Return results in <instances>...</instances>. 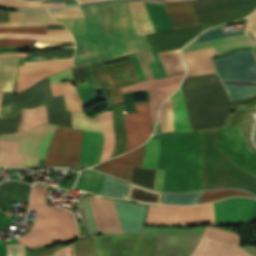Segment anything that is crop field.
Segmentation results:
<instances>
[{"label":"crop field","instance_id":"31","mask_svg":"<svg viewBox=\"0 0 256 256\" xmlns=\"http://www.w3.org/2000/svg\"><path fill=\"white\" fill-rule=\"evenodd\" d=\"M158 57L164 66L167 76L186 71L179 49L158 53Z\"/></svg>","mask_w":256,"mask_h":256},{"label":"crop field","instance_id":"35","mask_svg":"<svg viewBox=\"0 0 256 256\" xmlns=\"http://www.w3.org/2000/svg\"><path fill=\"white\" fill-rule=\"evenodd\" d=\"M3 38H20V39H34V41H48V42H65L71 41L72 36L67 35H40L28 33H0V39Z\"/></svg>","mask_w":256,"mask_h":256},{"label":"crop field","instance_id":"29","mask_svg":"<svg viewBox=\"0 0 256 256\" xmlns=\"http://www.w3.org/2000/svg\"><path fill=\"white\" fill-rule=\"evenodd\" d=\"M100 126L104 133V145L101 153V161L109 159L115 145V135L112 128V111L100 112Z\"/></svg>","mask_w":256,"mask_h":256},{"label":"crop field","instance_id":"38","mask_svg":"<svg viewBox=\"0 0 256 256\" xmlns=\"http://www.w3.org/2000/svg\"><path fill=\"white\" fill-rule=\"evenodd\" d=\"M231 196L255 197L249 193H245L237 190H215L210 192H204L198 204L212 202L218 199L231 197Z\"/></svg>","mask_w":256,"mask_h":256},{"label":"crop field","instance_id":"60","mask_svg":"<svg viewBox=\"0 0 256 256\" xmlns=\"http://www.w3.org/2000/svg\"><path fill=\"white\" fill-rule=\"evenodd\" d=\"M69 75H71V69L67 70V71H64V72H61V73H58L56 75H53V76L50 77L51 83L54 82V81H57V80H59L61 78H64L66 76H69ZM71 78H72V75L69 76V77H66L64 79H61V80H59L57 82L65 81V80H68V79H71ZM57 82H54V83H57Z\"/></svg>","mask_w":256,"mask_h":256},{"label":"crop field","instance_id":"59","mask_svg":"<svg viewBox=\"0 0 256 256\" xmlns=\"http://www.w3.org/2000/svg\"><path fill=\"white\" fill-rule=\"evenodd\" d=\"M148 94H149L150 105H151V110H152V125H154L157 120V112H156L157 103H156V98H155L154 92H151Z\"/></svg>","mask_w":256,"mask_h":256},{"label":"crop field","instance_id":"54","mask_svg":"<svg viewBox=\"0 0 256 256\" xmlns=\"http://www.w3.org/2000/svg\"><path fill=\"white\" fill-rule=\"evenodd\" d=\"M74 53V48L69 49H58V50H48V51H36L37 55H50L56 58L71 57Z\"/></svg>","mask_w":256,"mask_h":256},{"label":"crop field","instance_id":"69","mask_svg":"<svg viewBox=\"0 0 256 256\" xmlns=\"http://www.w3.org/2000/svg\"><path fill=\"white\" fill-rule=\"evenodd\" d=\"M27 54H9V55H0V58H5V57H26Z\"/></svg>","mask_w":256,"mask_h":256},{"label":"crop field","instance_id":"10","mask_svg":"<svg viewBox=\"0 0 256 256\" xmlns=\"http://www.w3.org/2000/svg\"><path fill=\"white\" fill-rule=\"evenodd\" d=\"M184 74L185 73L175 75L169 78H161L157 80L144 81L132 86L123 87L121 88V90L122 92L140 91V90L155 91L158 107H159L160 104L178 88L179 84L183 79ZM112 109H113V127L116 135V145L112 153L113 155L125 149L126 134L124 130L123 107H117Z\"/></svg>","mask_w":256,"mask_h":256},{"label":"crop field","instance_id":"43","mask_svg":"<svg viewBox=\"0 0 256 256\" xmlns=\"http://www.w3.org/2000/svg\"><path fill=\"white\" fill-rule=\"evenodd\" d=\"M0 5L27 8H45L66 5L65 3H41V0H0Z\"/></svg>","mask_w":256,"mask_h":256},{"label":"crop field","instance_id":"36","mask_svg":"<svg viewBox=\"0 0 256 256\" xmlns=\"http://www.w3.org/2000/svg\"><path fill=\"white\" fill-rule=\"evenodd\" d=\"M41 124H47L45 105L35 109H27L23 131Z\"/></svg>","mask_w":256,"mask_h":256},{"label":"crop field","instance_id":"1","mask_svg":"<svg viewBox=\"0 0 256 256\" xmlns=\"http://www.w3.org/2000/svg\"><path fill=\"white\" fill-rule=\"evenodd\" d=\"M212 46L217 54L235 47L256 51L245 29L229 32L226 26L198 36L183 52ZM256 58V52L252 53ZM250 51L236 52L215 60V69L231 100L256 95V59ZM217 74L186 78L182 93L193 131L223 126L235 103L231 102Z\"/></svg>","mask_w":256,"mask_h":256},{"label":"crop field","instance_id":"11","mask_svg":"<svg viewBox=\"0 0 256 256\" xmlns=\"http://www.w3.org/2000/svg\"><path fill=\"white\" fill-rule=\"evenodd\" d=\"M72 66V61L25 66L17 80L16 94L32 87L37 80ZM15 80L12 59L0 60V91H11Z\"/></svg>","mask_w":256,"mask_h":256},{"label":"crop field","instance_id":"61","mask_svg":"<svg viewBox=\"0 0 256 256\" xmlns=\"http://www.w3.org/2000/svg\"><path fill=\"white\" fill-rule=\"evenodd\" d=\"M164 172H165V170H157V173H156V184H155V189L156 190H160L161 191V189H162Z\"/></svg>","mask_w":256,"mask_h":256},{"label":"crop field","instance_id":"16","mask_svg":"<svg viewBox=\"0 0 256 256\" xmlns=\"http://www.w3.org/2000/svg\"><path fill=\"white\" fill-rule=\"evenodd\" d=\"M49 125L38 126L26 132L1 136L0 139L21 143L16 153L22 154L20 166L38 165Z\"/></svg>","mask_w":256,"mask_h":256},{"label":"crop field","instance_id":"63","mask_svg":"<svg viewBox=\"0 0 256 256\" xmlns=\"http://www.w3.org/2000/svg\"><path fill=\"white\" fill-rule=\"evenodd\" d=\"M72 246H73V244L63 248L64 256H73ZM63 253H62V249H60V250L54 252V256H63Z\"/></svg>","mask_w":256,"mask_h":256},{"label":"crop field","instance_id":"37","mask_svg":"<svg viewBox=\"0 0 256 256\" xmlns=\"http://www.w3.org/2000/svg\"><path fill=\"white\" fill-rule=\"evenodd\" d=\"M159 146V140H149L146 142L142 168L156 169L159 156Z\"/></svg>","mask_w":256,"mask_h":256},{"label":"crop field","instance_id":"7","mask_svg":"<svg viewBox=\"0 0 256 256\" xmlns=\"http://www.w3.org/2000/svg\"><path fill=\"white\" fill-rule=\"evenodd\" d=\"M187 4L195 24L207 28L246 17L256 8V0H198Z\"/></svg>","mask_w":256,"mask_h":256},{"label":"crop field","instance_id":"46","mask_svg":"<svg viewBox=\"0 0 256 256\" xmlns=\"http://www.w3.org/2000/svg\"><path fill=\"white\" fill-rule=\"evenodd\" d=\"M155 171L156 170L135 168V174H134L132 182H135L137 184H140V185H143V186L153 189L154 179H155Z\"/></svg>","mask_w":256,"mask_h":256},{"label":"crop field","instance_id":"17","mask_svg":"<svg viewBox=\"0 0 256 256\" xmlns=\"http://www.w3.org/2000/svg\"><path fill=\"white\" fill-rule=\"evenodd\" d=\"M135 105L137 113L124 112L127 134L125 152L144 143L150 137L152 131L149 102L135 103Z\"/></svg>","mask_w":256,"mask_h":256},{"label":"crop field","instance_id":"26","mask_svg":"<svg viewBox=\"0 0 256 256\" xmlns=\"http://www.w3.org/2000/svg\"><path fill=\"white\" fill-rule=\"evenodd\" d=\"M182 55L189 68L187 77L216 73L211 57L216 56L217 54L212 47L184 53Z\"/></svg>","mask_w":256,"mask_h":256},{"label":"crop field","instance_id":"50","mask_svg":"<svg viewBox=\"0 0 256 256\" xmlns=\"http://www.w3.org/2000/svg\"><path fill=\"white\" fill-rule=\"evenodd\" d=\"M136 57L139 60L140 66L146 76V79L147 80L155 79L148 64H147V63L155 60L151 50L144 52V53H138V54H136Z\"/></svg>","mask_w":256,"mask_h":256},{"label":"crop field","instance_id":"9","mask_svg":"<svg viewBox=\"0 0 256 256\" xmlns=\"http://www.w3.org/2000/svg\"><path fill=\"white\" fill-rule=\"evenodd\" d=\"M201 223H215L213 203L188 207L150 205L146 225Z\"/></svg>","mask_w":256,"mask_h":256},{"label":"crop field","instance_id":"15","mask_svg":"<svg viewBox=\"0 0 256 256\" xmlns=\"http://www.w3.org/2000/svg\"><path fill=\"white\" fill-rule=\"evenodd\" d=\"M215 147L233 163L256 177V153L248 148L241 129H215Z\"/></svg>","mask_w":256,"mask_h":256},{"label":"crop field","instance_id":"12","mask_svg":"<svg viewBox=\"0 0 256 256\" xmlns=\"http://www.w3.org/2000/svg\"><path fill=\"white\" fill-rule=\"evenodd\" d=\"M84 131L55 125L43 165H78Z\"/></svg>","mask_w":256,"mask_h":256},{"label":"crop field","instance_id":"51","mask_svg":"<svg viewBox=\"0 0 256 256\" xmlns=\"http://www.w3.org/2000/svg\"><path fill=\"white\" fill-rule=\"evenodd\" d=\"M95 87L110 88L100 63L90 64Z\"/></svg>","mask_w":256,"mask_h":256},{"label":"crop field","instance_id":"74","mask_svg":"<svg viewBox=\"0 0 256 256\" xmlns=\"http://www.w3.org/2000/svg\"><path fill=\"white\" fill-rule=\"evenodd\" d=\"M8 53H23V52H16V51H1L0 54H8Z\"/></svg>","mask_w":256,"mask_h":256},{"label":"crop field","instance_id":"30","mask_svg":"<svg viewBox=\"0 0 256 256\" xmlns=\"http://www.w3.org/2000/svg\"><path fill=\"white\" fill-rule=\"evenodd\" d=\"M173 113H174V129L175 131H192L189 124L181 90L171 96Z\"/></svg>","mask_w":256,"mask_h":256},{"label":"crop field","instance_id":"3","mask_svg":"<svg viewBox=\"0 0 256 256\" xmlns=\"http://www.w3.org/2000/svg\"><path fill=\"white\" fill-rule=\"evenodd\" d=\"M87 34H73L76 45L74 66L111 59L103 35H113L114 15L110 2L81 5Z\"/></svg>","mask_w":256,"mask_h":256},{"label":"crop field","instance_id":"20","mask_svg":"<svg viewBox=\"0 0 256 256\" xmlns=\"http://www.w3.org/2000/svg\"><path fill=\"white\" fill-rule=\"evenodd\" d=\"M216 224H243L256 208V200L246 198L225 199L214 203Z\"/></svg>","mask_w":256,"mask_h":256},{"label":"crop field","instance_id":"44","mask_svg":"<svg viewBox=\"0 0 256 256\" xmlns=\"http://www.w3.org/2000/svg\"><path fill=\"white\" fill-rule=\"evenodd\" d=\"M16 101L13 93H3L0 118H16Z\"/></svg>","mask_w":256,"mask_h":256},{"label":"crop field","instance_id":"34","mask_svg":"<svg viewBox=\"0 0 256 256\" xmlns=\"http://www.w3.org/2000/svg\"><path fill=\"white\" fill-rule=\"evenodd\" d=\"M19 144L0 141V165L19 166L21 155L15 154Z\"/></svg>","mask_w":256,"mask_h":256},{"label":"crop field","instance_id":"33","mask_svg":"<svg viewBox=\"0 0 256 256\" xmlns=\"http://www.w3.org/2000/svg\"><path fill=\"white\" fill-rule=\"evenodd\" d=\"M104 174L86 170L81 172L78 182L74 188L88 190L95 193H99Z\"/></svg>","mask_w":256,"mask_h":256},{"label":"crop field","instance_id":"66","mask_svg":"<svg viewBox=\"0 0 256 256\" xmlns=\"http://www.w3.org/2000/svg\"><path fill=\"white\" fill-rule=\"evenodd\" d=\"M8 12L9 11L0 10V22H9Z\"/></svg>","mask_w":256,"mask_h":256},{"label":"crop field","instance_id":"57","mask_svg":"<svg viewBox=\"0 0 256 256\" xmlns=\"http://www.w3.org/2000/svg\"><path fill=\"white\" fill-rule=\"evenodd\" d=\"M33 40H13L3 39L0 40V46H31Z\"/></svg>","mask_w":256,"mask_h":256},{"label":"crop field","instance_id":"22","mask_svg":"<svg viewBox=\"0 0 256 256\" xmlns=\"http://www.w3.org/2000/svg\"><path fill=\"white\" fill-rule=\"evenodd\" d=\"M123 233H143L147 205L114 200Z\"/></svg>","mask_w":256,"mask_h":256},{"label":"crop field","instance_id":"18","mask_svg":"<svg viewBox=\"0 0 256 256\" xmlns=\"http://www.w3.org/2000/svg\"><path fill=\"white\" fill-rule=\"evenodd\" d=\"M201 236L183 233L155 235L153 256H190Z\"/></svg>","mask_w":256,"mask_h":256},{"label":"crop field","instance_id":"23","mask_svg":"<svg viewBox=\"0 0 256 256\" xmlns=\"http://www.w3.org/2000/svg\"><path fill=\"white\" fill-rule=\"evenodd\" d=\"M144 147L145 144L118 158L111 159L107 173L131 182L134 167L141 168Z\"/></svg>","mask_w":256,"mask_h":256},{"label":"crop field","instance_id":"41","mask_svg":"<svg viewBox=\"0 0 256 256\" xmlns=\"http://www.w3.org/2000/svg\"><path fill=\"white\" fill-rule=\"evenodd\" d=\"M74 123L77 129L101 132L97 113L94 118L90 119L83 112H74Z\"/></svg>","mask_w":256,"mask_h":256},{"label":"crop field","instance_id":"47","mask_svg":"<svg viewBox=\"0 0 256 256\" xmlns=\"http://www.w3.org/2000/svg\"><path fill=\"white\" fill-rule=\"evenodd\" d=\"M203 235H207L209 237H213V238L220 239L223 241L239 244L237 234L228 232V231H224L221 229L207 227Z\"/></svg>","mask_w":256,"mask_h":256},{"label":"crop field","instance_id":"5","mask_svg":"<svg viewBox=\"0 0 256 256\" xmlns=\"http://www.w3.org/2000/svg\"><path fill=\"white\" fill-rule=\"evenodd\" d=\"M128 3L136 35L195 25L193 17L185 2L166 3L175 28L165 4H157L158 2L146 3L156 31L145 1H128Z\"/></svg>","mask_w":256,"mask_h":256},{"label":"crop field","instance_id":"42","mask_svg":"<svg viewBox=\"0 0 256 256\" xmlns=\"http://www.w3.org/2000/svg\"><path fill=\"white\" fill-rule=\"evenodd\" d=\"M201 194H163L161 203L163 204H196Z\"/></svg>","mask_w":256,"mask_h":256},{"label":"crop field","instance_id":"24","mask_svg":"<svg viewBox=\"0 0 256 256\" xmlns=\"http://www.w3.org/2000/svg\"><path fill=\"white\" fill-rule=\"evenodd\" d=\"M104 72L112 87L115 104L123 102L120 87L141 82L131 62L119 67L106 68Z\"/></svg>","mask_w":256,"mask_h":256},{"label":"crop field","instance_id":"67","mask_svg":"<svg viewBox=\"0 0 256 256\" xmlns=\"http://www.w3.org/2000/svg\"><path fill=\"white\" fill-rule=\"evenodd\" d=\"M67 60H72V59H66V60H47V61H30V62H26L25 65L38 64V63H46V62H56V61H67Z\"/></svg>","mask_w":256,"mask_h":256},{"label":"crop field","instance_id":"13","mask_svg":"<svg viewBox=\"0 0 256 256\" xmlns=\"http://www.w3.org/2000/svg\"><path fill=\"white\" fill-rule=\"evenodd\" d=\"M95 240L99 256H152L153 235L107 234Z\"/></svg>","mask_w":256,"mask_h":256},{"label":"crop field","instance_id":"70","mask_svg":"<svg viewBox=\"0 0 256 256\" xmlns=\"http://www.w3.org/2000/svg\"><path fill=\"white\" fill-rule=\"evenodd\" d=\"M108 161H109V160H108ZM108 161L99 164L98 169L103 170V171L106 172V170H107V165H108Z\"/></svg>","mask_w":256,"mask_h":256},{"label":"crop field","instance_id":"71","mask_svg":"<svg viewBox=\"0 0 256 256\" xmlns=\"http://www.w3.org/2000/svg\"><path fill=\"white\" fill-rule=\"evenodd\" d=\"M42 2H76L75 0H42Z\"/></svg>","mask_w":256,"mask_h":256},{"label":"crop field","instance_id":"49","mask_svg":"<svg viewBox=\"0 0 256 256\" xmlns=\"http://www.w3.org/2000/svg\"><path fill=\"white\" fill-rule=\"evenodd\" d=\"M65 105L68 110L72 111V123H73V111H84V107L79 99L76 89L65 94Z\"/></svg>","mask_w":256,"mask_h":256},{"label":"crop field","instance_id":"72","mask_svg":"<svg viewBox=\"0 0 256 256\" xmlns=\"http://www.w3.org/2000/svg\"><path fill=\"white\" fill-rule=\"evenodd\" d=\"M47 29H66L63 25H48Z\"/></svg>","mask_w":256,"mask_h":256},{"label":"crop field","instance_id":"55","mask_svg":"<svg viewBox=\"0 0 256 256\" xmlns=\"http://www.w3.org/2000/svg\"><path fill=\"white\" fill-rule=\"evenodd\" d=\"M73 80L77 85H84L88 83L86 66L73 68Z\"/></svg>","mask_w":256,"mask_h":256},{"label":"crop field","instance_id":"68","mask_svg":"<svg viewBox=\"0 0 256 256\" xmlns=\"http://www.w3.org/2000/svg\"><path fill=\"white\" fill-rule=\"evenodd\" d=\"M68 33L67 30H47L46 34H61Z\"/></svg>","mask_w":256,"mask_h":256},{"label":"crop field","instance_id":"56","mask_svg":"<svg viewBox=\"0 0 256 256\" xmlns=\"http://www.w3.org/2000/svg\"><path fill=\"white\" fill-rule=\"evenodd\" d=\"M7 256H25L24 244L7 245Z\"/></svg>","mask_w":256,"mask_h":256},{"label":"crop field","instance_id":"52","mask_svg":"<svg viewBox=\"0 0 256 256\" xmlns=\"http://www.w3.org/2000/svg\"><path fill=\"white\" fill-rule=\"evenodd\" d=\"M206 227H198L192 229H182V228H144L145 234H157L161 232L169 231H179V232H189L202 235Z\"/></svg>","mask_w":256,"mask_h":256},{"label":"crop field","instance_id":"75","mask_svg":"<svg viewBox=\"0 0 256 256\" xmlns=\"http://www.w3.org/2000/svg\"><path fill=\"white\" fill-rule=\"evenodd\" d=\"M1 97H2V93H0V105H1Z\"/></svg>","mask_w":256,"mask_h":256},{"label":"crop field","instance_id":"19","mask_svg":"<svg viewBox=\"0 0 256 256\" xmlns=\"http://www.w3.org/2000/svg\"><path fill=\"white\" fill-rule=\"evenodd\" d=\"M9 18L10 23H2L0 24V28L47 26V24H59L53 20L48 11H10ZM0 32H28L45 34L46 27L6 28L0 29Z\"/></svg>","mask_w":256,"mask_h":256},{"label":"crop field","instance_id":"48","mask_svg":"<svg viewBox=\"0 0 256 256\" xmlns=\"http://www.w3.org/2000/svg\"><path fill=\"white\" fill-rule=\"evenodd\" d=\"M75 256H96L92 237L80 239L74 246Z\"/></svg>","mask_w":256,"mask_h":256},{"label":"crop field","instance_id":"40","mask_svg":"<svg viewBox=\"0 0 256 256\" xmlns=\"http://www.w3.org/2000/svg\"><path fill=\"white\" fill-rule=\"evenodd\" d=\"M159 123L162 132L173 130V113L171 99L168 98L161 106L159 112Z\"/></svg>","mask_w":256,"mask_h":256},{"label":"crop field","instance_id":"2","mask_svg":"<svg viewBox=\"0 0 256 256\" xmlns=\"http://www.w3.org/2000/svg\"><path fill=\"white\" fill-rule=\"evenodd\" d=\"M151 139L161 143L157 169H166L162 191L203 190L201 131L161 133Z\"/></svg>","mask_w":256,"mask_h":256},{"label":"crop field","instance_id":"21","mask_svg":"<svg viewBox=\"0 0 256 256\" xmlns=\"http://www.w3.org/2000/svg\"><path fill=\"white\" fill-rule=\"evenodd\" d=\"M206 28L203 25L177 30H170L162 33L148 34L151 46H157L159 52L181 48L184 44L191 41L197 34Z\"/></svg>","mask_w":256,"mask_h":256},{"label":"crop field","instance_id":"27","mask_svg":"<svg viewBox=\"0 0 256 256\" xmlns=\"http://www.w3.org/2000/svg\"><path fill=\"white\" fill-rule=\"evenodd\" d=\"M103 145V134L85 131L80 165L90 166L99 162Z\"/></svg>","mask_w":256,"mask_h":256},{"label":"crop field","instance_id":"58","mask_svg":"<svg viewBox=\"0 0 256 256\" xmlns=\"http://www.w3.org/2000/svg\"><path fill=\"white\" fill-rule=\"evenodd\" d=\"M247 31L256 39V12L251 14L248 18Z\"/></svg>","mask_w":256,"mask_h":256},{"label":"crop field","instance_id":"4","mask_svg":"<svg viewBox=\"0 0 256 256\" xmlns=\"http://www.w3.org/2000/svg\"><path fill=\"white\" fill-rule=\"evenodd\" d=\"M48 187L34 185L29 210L37 211L33 231L17 239L26 246L31 247L71 236L77 235L72 215L67 211L55 210L45 203ZM50 221L53 223L49 225Z\"/></svg>","mask_w":256,"mask_h":256},{"label":"crop field","instance_id":"6","mask_svg":"<svg viewBox=\"0 0 256 256\" xmlns=\"http://www.w3.org/2000/svg\"><path fill=\"white\" fill-rule=\"evenodd\" d=\"M17 107L35 108L46 104L49 124H61L72 127L71 112H67L64 105V95L52 97L49 78L34 87L15 95ZM17 119H0V134L17 132L22 109L17 108ZM73 128V127H72Z\"/></svg>","mask_w":256,"mask_h":256},{"label":"crop field","instance_id":"8","mask_svg":"<svg viewBox=\"0 0 256 256\" xmlns=\"http://www.w3.org/2000/svg\"><path fill=\"white\" fill-rule=\"evenodd\" d=\"M115 14L114 36H104L111 57L137 53L151 48L146 36H135L127 1L111 2Z\"/></svg>","mask_w":256,"mask_h":256},{"label":"crop field","instance_id":"64","mask_svg":"<svg viewBox=\"0 0 256 256\" xmlns=\"http://www.w3.org/2000/svg\"><path fill=\"white\" fill-rule=\"evenodd\" d=\"M62 247L63 246H59V247H56V248H53V249H49V250H46V251L37 252V253H35V256H51V255H53V251H55L57 249H60Z\"/></svg>","mask_w":256,"mask_h":256},{"label":"crop field","instance_id":"53","mask_svg":"<svg viewBox=\"0 0 256 256\" xmlns=\"http://www.w3.org/2000/svg\"><path fill=\"white\" fill-rule=\"evenodd\" d=\"M68 28L71 33H86L84 20H58Z\"/></svg>","mask_w":256,"mask_h":256},{"label":"crop field","instance_id":"62","mask_svg":"<svg viewBox=\"0 0 256 256\" xmlns=\"http://www.w3.org/2000/svg\"><path fill=\"white\" fill-rule=\"evenodd\" d=\"M53 129H54V125H50V132H49V135H48V137H47V139H46V141L44 143V147H43L42 153L40 155V158H44L45 157L48 145L50 143V140H51V137H52V134H53Z\"/></svg>","mask_w":256,"mask_h":256},{"label":"crop field","instance_id":"39","mask_svg":"<svg viewBox=\"0 0 256 256\" xmlns=\"http://www.w3.org/2000/svg\"><path fill=\"white\" fill-rule=\"evenodd\" d=\"M160 195L158 192L145 190L132 184L128 198L147 203H159Z\"/></svg>","mask_w":256,"mask_h":256},{"label":"crop field","instance_id":"65","mask_svg":"<svg viewBox=\"0 0 256 256\" xmlns=\"http://www.w3.org/2000/svg\"><path fill=\"white\" fill-rule=\"evenodd\" d=\"M128 59H130L129 56H126V57H121V58L110 60V61H103L101 63L102 65H106V64L117 63V62L128 60Z\"/></svg>","mask_w":256,"mask_h":256},{"label":"crop field","instance_id":"25","mask_svg":"<svg viewBox=\"0 0 256 256\" xmlns=\"http://www.w3.org/2000/svg\"><path fill=\"white\" fill-rule=\"evenodd\" d=\"M237 246L202 236L191 256H252Z\"/></svg>","mask_w":256,"mask_h":256},{"label":"crop field","instance_id":"73","mask_svg":"<svg viewBox=\"0 0 256 256\" xmlns=\"http://www.w3.org/2000/svg\"><path fill=\"white\" fill-rule=\"evenodd\" d=\"M24 116H25V110H23V113H22L21 123H20V127H19L18 132L22 131L23 124H24Z\"/></svg>","mask_w":256,"mask_h":256},{"label":"crop field","instance_id":"45","mask_svg":"<svg viewBox=\"0 0 256 256\" xmlns=\"http://www.w3.org/2000/svg\"><path fill=\"white\" fill-rule=\"evenodd\" d=\"M53 17L56 19H77L85 18L79 5L66 8H58L50 10Z\"/></svg>","mask_w":256,"mask_h":256},{"label":"crop field","instance_id":"28","mask_svg":"<svg viewBox=\"0 0 256 256\" xmlns=\"http://www.w3.org/2000/svg\"><path fill=\"white\" fill-rule=\"evenodd\" d=\"M31 186L22 182H6L0 189V209H4L5 201L27 202Z\"/></svg>","mask_w":256,"mask_h":256},{"label":"crop field","instance_id":"14","mask_svg":"<svg viewBox=\"0 0 256 256\" xmlns=\"http://www.w3.org/2000/svg\"><path fill=\"white\" fill-rule=\"evenodd\" d=\"M80 202L89 235L103 232L122 233L113 200L93 196L81 199Z\"/></svg>","mask_w":256,"mask_h":256},{"label":"crop field","instance_id":"32","mask_svg":"<svg viewBox=\"0 0 256 256\" xmlns=\"http://www.w3.org/2000/svg\"><path fill=\"white\" fill-rule=\"evenodd\" d=\"M130 185L131 184L122 182L118 179L105 176L104 183L99 195L127 198Z\"/></svg>","mask_w":256,"mask_h":256}]
</instances>
